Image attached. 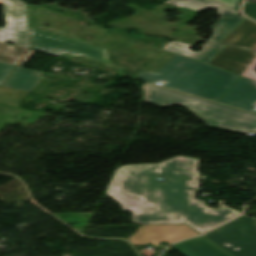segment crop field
Returning <instances> with one entry per match:
<instances>
[{"label": "crop field", "instance_id": "1", "mask_svg": "<svg viewBox=\"0 0 256 256\" xmlns=\"http://www.w3.org/2000/svg\"><path fill=\"white\" fill-rule=\"evenodd\" d=\"M198 162L177 156L161 164L121 167L108 186V196L119 201L123 210L132 212L135 224H187L204 232L239 213L222 200L216 210L195 199ZM157 177L167 179L166 183L157 181Z\"/></svg>", "mask_w": 256, "mask_h": 256}, {"label": "crop field", "instance_id": "2", "mask_svg": "<svg viewBox=\"0 0 256 256\" xmlns=\"http://www.w3.org/2000/svg\"><path fill=\"white\" fill-rule=\"evenodd\" d=\"M137 79L217 101L238 76L176 54L158 73L145 71Z\"/></svg>", "mask_w": 256, "mask_h": 256}, {"label": "crop field", "instance_id": "3", "mask_svg": "<svg viewBox=\"0 0 256 256\" xmlns=\"http://www.w3.org/2000/svg\"><path fill=\"white\" fill-rule=\"evenodd\" d=\"M144 101L161 107L181 105L210 127L237 132H256V115L145 83Z\"/></svg>", "mask_w": 256, "mask_h": 256}, {"label": "crop field", "instance_id": "4", "mask_svg": "<svg viewBox=\"0 0 256 256\" xmlns=\"http://www.w3.org/2000/svg\"><path fill=\"white\" fill-rule=\"evenodd\" d=\"M232 256H256V223L239 217L205 235Z\"/></svg>", "mask_w": 256, "mask_h": 256}, {"label": "crop field", "instance_id": "5", "mask_svg": "<svg viewBox=\"0 0 256 256\" xmlns=\"http://www.w3.org/2000/svg\"><path fill=\"white\" fill-rule=\"evenodd\" d=\"M31 48L54 56L68 53L83 55L88 58L109 63L106 50L101 47L86 44L62 36L30 28Z\"/></svg>", "mask_w": 256, "mask_h": 256}, {"label": "crop field", "instance_id": "6", "mask_svg": "<svg viewBox=\"0 0 256 256\" xmlns=\"http://www.w3.org/2000/svg\"><path fill=\"white\" fill-rule=\"evenodd\" d=\"M7 24L0 28V39L28 48L25 4L19 0H0Z\"/></svg>", "mask_w": 256, "mask_h": 256}, {"label": "crop field", "instance_id": "7", "mask_svg": "<svg viewBox=\"0 0 256 256\" xmlns=\"http://www.w3.org/2000/svg\"><path fill=\"white\" fill-rule=\"evenodd\" d=\"M198 235L185 225L141 226L128 239L134 246L152 242L154 245L166 241L172 243Z\"/></svg>", "mask_w": 256, "mask_h": 256}, {"label": "crop field", "instance_id": "8", "mask_svg": "<svg viewBox=\"0 0 256 256\" xmlns=\"http://www.w3.org/2000/svg\"><path fill=\"white\" fill-rule=\"evenodd\" d=\"M209 65L217 66L230 72L256 81V53L226 47Z\"/></svg>", "mask_w": 256, "mask_h": 256}, {"label": "crop field", "instance_id": "9", "mask_svg": "<svg viewBox=\"0 0 256 256\" xmlns=\"http://www.w3.org/2000/svg\"><path fill=\"white\" fill-rule=\"evenodd\" d=\"M219 102L250 111L256 104V82L241 77L239 82Z\"/></svg>", "mask_w": 256, "mask_h": 256}, {"label": "crop field", "instance_id": "10", "mask_svg": "<svg viewBox=\"0 0 256 256\" xmlns=\"http://www.w3.org/2000/svg\"><path fill=\"white\" fill-rule=\"evenodd\" d=\"M221 43L256 51V22L246 19Z\"/></svg>", "mask_w": 256, "mask_h": 256}, {"label": "crop field", "instance_id": "11", "mask_svg": "<svg viewBox=\"0 0 256 256\" xmlns=\"http://www.w3.org/2000/svg\"><path fill=\"white\" fill-rule=\"evenodd\" d=\"M172 246L187 256H228L202 236Z\"/></svg>", "mask_w": 256, "mask_h": 256}, {"label": "crop field", "instance_id": "12", "mask_svg": "<svg viewBox=\"0 0 256 256\" xmlns=\"http://www.w3.org/2000/svg\"><path fill=\"white\" fill-rule=\"evenodd\" d=\"M191 45H187L180 42H170L164 49L194 59L196 61L206 64L215 54H217L224 46L207 42L200 52H193L188 50Z\"/></svg>", "mask_w": 256, "mask_h": 256}, {"label": "crop field", "instance_id": "13", "mask_svg": "<svg viewBox=\"0 0 256 256\" xmlns=\"http://www.w3.org/2000/svg\"><path fill=\"white\" fill-rule=\"evenodd\" d=\"M40 71L17 66L2 86L30 91L38 82Z\"/></svg>", "mask_w": 256, "mask_h": 256}, {"label": "crop field", "instance_id": "14", "mask_svg": "<svg viewBox=\"0 0 256 256\" xmlns=\"http://www.w3.org/2000/svg\"><path fill=\"white\" fill-rule=\"evenodd\" d=\"M218 8L219 15L222 17L213 25L214 36L209 41L218 43L230 30H232L243 17L235 15L221 7Z\"/></svg>", "mask_w": 256, "mask_h": 256}, {"label": "crop field", "instance_id": "15", "mask_svg": "<svg viewBox=\"0 0 256 256\" xmlns=\"http://www.w3.org/2000/svg\"><path fill=\"white\" fill-rule=\"evenodd\" d=\"M27 50V48L9 45L0 40V61L16 65Z\"/></svg>", "mask_w": 256, "mask_h": 256}, {"label": "crop field", "instance_id": "16", "mask_svg": "<svg viewBox=\"0 0 256 256\" xmlns=\"http://www.w3.org/2000/svg\"><path fill=\"white\" fill-rule=\"evenodd\" d=\"M27 94V91L0 87V103L19 106Z\"/></svg>", "mask_w": 256, "mask_h": 256}, {"label": "crop field", "instance_id": "17", "mask_svg": "<svg viewBox=\"0 0 256 256\" xmlns=\"http://www.w3.org/2000/svg\"><path fill=\"white\" fill-rule=\"evenodd\" d=\"M166 3L174 6L182 7V8L197 10V11H200L206 7L214 5L206 0H170Z\"/></svg>", "mask_w": 256, "mask_h": 256}, {"label": "crop field", "instance_id": "18", "mask_svg": "<svg viewBox=\"0 0 256 256\" xmlns=\"http://www.w3.org/2000/svg\"><path fill=\"white\" fill-rule=\"evenodd\" d=\"M212 1L218 4H221L236 12L241 0H212Z\"/></svg>", "mask_w": 256, "mask_h": 256}, {"label": "crop field", "instance_id": "19", "mask_svg": "<svg viewBox=\"0 0 256 256\" xmlns=\"http://www.w3.org/2000/svg\"><path fill=\"white\" fill-rule=\"evenodd\" d=\"M14 65L6 64L0 62V84L9 74V72L13 69Z\"/></svg>", "mask_w": 256, "mask_h": 256}, {"label": "crop field", "instance_id": "20", "mask_svg": "<svg viewBox=\"0 0 256 256\" xmlns=\"http://www.w3.org/2000/svg\"><path fill=\"white\" fill-rule=\"evenodd\" d=\"M35 50L30 49L29 52L24 56V58L20 61L18 65L23 66L26 61L33 55Z\"/></svg>", "mask_w": 256, "mask_h": 256}, {"label": "crop field", "instance_id": "21", "mask_svg": "<svg viewBox=\"0 0 256 256\" xmlns=\"http://www.w3.org/2000/svg\"><path fill=\"white\" fill-rule=\"evenodd\" d=\"M246 1H256V0H246Z\"/></svg>", "mask_w": 256, "mask_h": 256}]
</instances>
